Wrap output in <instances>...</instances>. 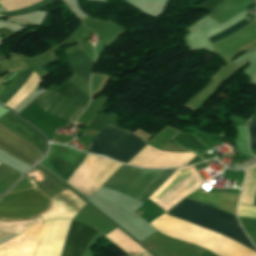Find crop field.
Returning <instances> with one entry per match:
<instances>
[{
  "instance_id": "crop-field-20",
  "label": "crop field",
  "mask_w": 256,
  "mask_h": 256,
  "mask_svg": "<svg viewBox=\"0 0 256 256\" xmlns=\"http://www.w3.org/2000/svg\"><path fill=\"white\" fill-rule=\"evenodd\" d=\"M30 74H31V71L28 70L24 74V76L15 84V86L5 95V97L0 102L5 104L15 94V92L22 86V84L28 79Z\"/></svg>"
},
{
  "instance_id": "crop-field-8",
  "label": "crop field",
  "mask_w": 256,
  "mask_h": 256,
  "mask_svg": "<svg viewBox=\"0 0 256 256\" xmlns=\"http://www.w3.org/2000/svg\"><path fill=\"white\" fill-rule=\"evenodd\" d=\"M68 61L73 72L88 82L93 63L90 62L80 51L69 55ZM88 99L89 97L79 90L67 101L57 116L70 120L80 106L85 104Z\"/></svg>"
},
{
  "instance_id": "crop-field-1",
  "label": "crop field",
  "mask_w": 256,
  "mask_h": 256,
  "mask_svg": "<svg viewBox=\"0 0 256 256\" xmlns=\"http://www.w3.org/2000/svg\"><path fill=\"white\" fill-rule=\"evenodd\" d=\"M166 214L219 233L253 251L236 216L184 198ZM164 214L151 225L166 235L199 245L218 256H256V253L206 229Z\"/></svg>"
},
{
  "instance_id": "crop-field-25",
  "label": "crop field",
  "mask_w": 256,
  "mask_h": 256,
  "mask_svg": "<svg viewBox=\"0 0 256 256\" xmlns=\"http://www.w3.org/2000/svg\"><path fill=\"white\" fill-rule=\"evenodd\" d=\"M250 152L252 153V154H256V149H250ZM255 157H256V155H254Z\"/></svg>"
},
{
  "instance_id": "crop-field-26",
  "label": "crop field",
  "mask_w": 256,
  "mask_h": 256,
  "mask_svg": "<svg viewBox=\"0 0 256 256\" xmlns=\"http://www.w3.org/2000/svg\"><path fill=\"white\" fill-rule=\"evenodd\" d=\"M253 205H256V194H255V199H254Z\"/></svg>"
},
{
  "instance_id": "crop-field-27",
  "label": "crop field",
  "mask_w": 256,
  "mask_h": 256,
  "mask_svg": "<svg viewBox=\"0 0 256 256\" xmlns=\"http://www.w3.org/2000/svg\"><path fill=\"white\" fill-rule=\"evenodd\" d=\"M1 7V6H0Z\"/></svg>"
},
{
  "instance_id": "crop-field-4",
  "label": "crop field",
  "mask_w": 256,
  "mask_h": 256,
  "mask_svg": "<svg viewBox=\"0 0 256 256\" xmlns=\"http://www.w3.org/2000/svg\"><path fill=\"white\" fill-rule=\"evenodd\" d=\"M49 199L36 188H28L0 198V219L30 218L49 207Z\"/></svg>"
},
{
  "instance_id": "crop-field-13",
  "label": "crop field",
  "mask_w": 256,
  "mask_h": 256,
  "mask_svg": "<svg viewBox=\"0 0 256 256\" xmlns=\"http://www.w3.org/2000/svg\"><path fill=\"white\" fill-rule=\"evenodd\" d=\"M238 195L239 194L205 193L198 189L186 198L235 214Z\"/></svg>"
},
{
  "instance_id": "crop-field-12",
  "label": "crop field",
  "mask_w": 256,
  "mask_h": 256,
  "mask_svg": "<svg viewBox=\"0 0 256 256\" xmlns=\"http://www.w3.org/2000/svg\"><path fill=\"white\" fill-rule=\"evenodd\" d=\"M86 203L70 191H62L52 201L50 210L42 215L43 220L67 218L72 219Z\"/></svg>"
},
{
  "instance_id": "crop-field-16",
  "label": "crop field",
  "mask_w": 256,
  "mask_h": 256,
  "mask_svg": "<svg viewBox=\"0 0 256 256\" xmlns=\"http://www.w3.org/2000/svg\"><path fill=\"white\" fill-rule=\"evenodd\" d=\"M175 169H167L159 175L152 183H150L145 190V192L140 196L138 201L145 202L148 197L176 170Z\"/></svg>"
},
{
  "instance_id": "crop-field-23",
  "label": "crop field",
  "mask_w": 256,
  "mask_h": 256,
  "mask_svg": "<svg viewBox=\"0 0 256 256\" xmlns=\"http://www.w3.org/2000/svg\"><path fill=\"white\" fill-rule=\"evenodd\" d=\"M16 173L15 171L0 164V180Z\"/></svg>"
},
{
  "instance_id": "crop-field-19",
  "label": "crop field",
  "mask_w": 256,
  "mask_h": 256,
  "mask_svg": "<svg viewBox=\"0 0 256 256\" xmlns=\"http://www.w3.org/2000/svg\"><path fill=\"white\" fill-rule=\"evenodd\" d=\"M247 24H249V23L244 19V20L238 22L237 24L231 26L230 28H228V29H226V30L208 38V39L210 40L211 43H213V42H215V41H217V40L235 32L237 30H239L240 28L244 27Z\"/></svg>"
},
{
  "instance_id": "crop-field-5",
  "label": "crop field",
  "mask_w": 256,
  "mask_h": 256,
  "mask_svg": "<svg viewBox=\"0 0 256 256\" xmlns=\"http://www.w3.org/2000/svg\"><path fill=\"white\" fill-rule=\"evenodd\" d=\"M203 182L193 166L180 168L150 198L167 210Z\"/></svg>"
},
{
  "instance_id": "crop-field-6",
  "label": "crop field",
  "mask_w": 256,
  "mask_h": 256,
  "mask_svg": "<svg viewBox=\"0 0 256 256\" xmlns=\"http://www.w3.org/2000/svg\"><path fill=\"white\" fill-rule=\"evenodd\" d=\"M161 171L163 170H142L122 165L103 187L117 190L137 199L149 182Z\"/></svg>"
},
{
  "instance_id": "crop-field-3",
  "label": "crop field",
  "mask_w": 256,
  "mask_h": 256,
  "mask_svg": "<svg viewBox=\"0 0 256 256\" xmlns=\"http://www.w3.org/2000/svg\"><path fill=\"white\" fill-rule=\"evenodd\" d=\"M120 166L121 164L109 159L87 154L76 170L103 185ZM78 171H75L66 182L91 197L102 185Z\"/></svg>"
},
{
  "instance_id": "crop-field-18",
  "label": "crop field",
  "mask_w": 256,
  "mask_h": 256,
  "mask_svg": "<svg viewBox=\"0 0 256 256\" xmlns=\"http://www.w3.org/2000/svg\"><path fill=\"white\" fill-rule=\"evenodd\" d=\"M58 93L47 90L42 96H40L34 103L39 105L44 110H47L58 97Z\"/></svg>"
},
{
  "instance_id": "crop-field-9",
  "label": "crop field",
  "mask_w": 256,
  "mask_h": 256,
  "mask_svg": "<svg viewBox=\"0 0 256 256\" xmlns=\"http://www.w3.org/2000/svg\"><path fill=\"white\" fill-rule=\"evenodd\" d=\"M195 155L192 153H169L146 145L130 162L140 167H173L184 165Z\"/></svg>"
},
{
  "instance_id": "crop-field-2",
  "label": "crop field",
  "mask_w": 256,
  "mask_h": 256,
  "mask_svg": "<svg viewBox=\"0 0 256 256\" xmlns=\"http://www.w3.org/2000/svg\"><path fill=\"white\" fill-rule=\"evenodd\" d=\"M117 129L108 125L92 138L87 152L109 156L128 163L146 142Z\"/></svg>"
},
{
  "instance_id": "crop-field-22",
  "label": "crop field",
  "mask_w": 256,
  "mask_h": 256,
  "mask_svg": "<svg viewBox=\"0 0 256 256\" xmlns=\"http://www.w3.org/2000/svg\"><path fill=\"white\" fill-rule=\"evenodd\" d=\"M24 72L25 71L17 72L15 77L8 83V85L5 88V90L0 94V100L9 91V89L16 83V81L23 75Z\"/></svg>"
},
{
  "instance_id": "crop-field-24",
  "label": "crop field",
  "mask_w": 256,
  "mask_h": 256,
  "mask_svg": "<svg viewBox=\"0 0 256 256\" xmlns=\"http://www.w3.org/2000/svg\"><path fill=\"white\" fill-rule=\"evenodd\" d=\"M13 34H14L13 32H11L7 29H4V28L0 29V36L3 37V38H6V37L11 36Z\"/></svg>"
},
{
  "instance_id": "crop-field-15",
  "label": "crop field",
  "mask_w": 256,
  "mask_h": 256,
  "mask_svg": "<svg viewBox=\"0 0 256 256\" xmlns=\"http://www.w3.org/2000/svg\"><path fill=\"white\" fill-rule=\"evenodd\" d=\"M39 221H41L39 217H35L28 221H20V222H2V221H0V230L19 234L23 230H25L27 227H29L30 225L35 224Z\"/></svg>"
},
{
  "instance_id": "crop-field-11",
  "label": "crop field",
  "mask_w": 256,
  "mask_h": 256,
  "mask_svg": "<svg viewBox=\"0 0 256 256\" xmlns=\"http://www.w3.org/2000/svg\"><path fill=\"white\" fill-rule=\"evenodd\" d=\"M96 229L72 221L61 256H82Z\"/></svg>"
},
{
  "instance_id": "crop-field-21",
  "label": "crop field",
  "mask_w": 256,
  "mask_h": 256,
  "mask_svg": "<svg viewBox=\"0 0 256 256\" xmlns=\"http://www.w3.org/2000/svg\"><path fill=\"white\" fill-rule=\"evenodd\" d=\"M247 126L250 133V148H256V120H249Z\"/></svg>"
},
{
  "instance_id": "crop-field-10",
  "label": "crop field",
  "mask_w": 256,
  "mask_h": 256,
  "mask_svg": "<svg viewBox=\"0 0 256 256\" xmlns=\"http://www.w3.org/2000/svg\"><path fill=\"white\" fill-rule=\"evenodd\" d=\"M42 223H37L19 236L0 244V256H33Z\"/></svg>"
},
{
  "instance_id": "crop-field-7",
  "label": "crop field",
  "mask_w": 256,
  "mask_h": 256,
  "mask_svg": "<svg viewBox=\"0 0 256 256\" xmlns=\"http://www.w3.org/2000/svg\"><path fill=\"white\" fill-rule=\"evenodd\" d=\"M70 221H45L34 256H60Z\"/></svg>"
},
{
  "instance_id": "crop-field-14",
  "label": "crop field",
  "mask_w": 256,
  "mask_h": 256,
  "mask_svg": "<svg viewBox=\"0 0 256 256\" xmlns=\"http://www.w3.org/2000/svg\"><path fill=\"white\" fill-rule=\"evenodd\" d=\"M114 245L122 250L128 256H147L149 255L129 238L123 235L117 229L105 235Z\"/></svg>"
},
{
  "instance_id": "crop-field-17",
  "label": "crop field",
  "mask_w": 256,
  "mask_h": 256,
  "mask_svg": "<svg viewBox=\"0 0 256 256\" xmlns=\"http://www.w3.org/2000/svg\"><path fill=\"white\" fill-rule=\"evenodd\" d=\"M57 0H43L33 6H30V7H27V8H24V9H21L19 11H15V12H2L0 14L6 16V17H9V16H14V15H21V14H25V13H29V12H33V11H37V10H40L44 7H46L47 5L55 2Z\"/></svg>"
}]
</instances>
